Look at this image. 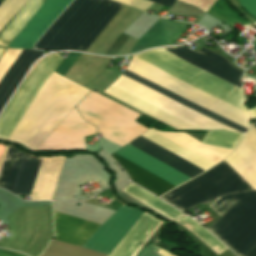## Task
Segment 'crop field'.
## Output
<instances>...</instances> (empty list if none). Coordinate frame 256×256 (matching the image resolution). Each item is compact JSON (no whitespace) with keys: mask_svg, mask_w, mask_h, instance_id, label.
Segmentation results:
<instances>
[{"mask_svg":"<svg viewBox=\"0 0 256 256\" xmlns=\"http://www.w3.org/2000/svg\"><path fill=\"white\" fill-rule=\"evenodd\" d=\"M168 51L178 55L182 59L192 63L193 65L217 76L227 80L228 82L241 87V78L243 74L228 63L224 58L204 49L199 50L206 55L195 53L191 51L187 45L168 47ZM164 48L146 51L143 54L136 55V58L145 61L160 70L248 113L243 103L242 87H236L220 78L214 77L197 67L185 62L181 58L169 53ZM135 59L132 57L126 70L135 73L231 122H234L247 129L250 122L249 113L246 114L162 71L159 69ZM128 71H124L122 75L139 82L217 122L229 126L230 128L246 132V129L231 123L213 113H210L193 103L135 75ZM120 75L119 78L112 84V86L128 92L130 95L137 97L165 112L189 122L197 126L201 130L210 129H227L229 127L220 123L212 121L181 104L139 84L124 76ZM108 87L104 93L176 128V129H198L192 125L176 119L167 113L158 110L137 98L131 97L127 93L120 90ZM199 129V130H200ZM233 131V130H231Z\"/></svg>","mask_w":256,"mask_h":256,"instance_id":"obj_1","label":"crop field"},{"mask_svg":"<svg viewBox=\"0 0 256 256\" xmlns=\"http://www.w3.org/2000/svg\"><path fill=\"white\" fill-rule=\"evenodd\" d=\"M61 61L62 58L54 53L33 68L0 117L1 138L8 140L42 85ZM88 92L53 72L9 140L33 151Z\"/></svg>","mask_w":256,"mask_h":256,"instance_id":"obj_2","label":"crop field"},{"mask_svg":"<svg viewBox=\"0 0 256 256\" xmlns=\"http://www.w3.org/2000/svg\"><path fill=\"white\" fill-rule=\"evenodd\" d=\"M150 130L213 164L225 158V156L232 151L231 149L201 143L190 137L189 135L185 134L184 132H159L154 129ZM150 130H148L141 136L177 154L181 158L199 166L204 171L213 166V164L158 136ZM141 136L134 139L128 144L134 146L135 148L141 150L142 152L185 174L190 178H193L196 175L204 172L200 168L182 160L173 153L158 147L154 143L144 139ZM142 152L127 145L116 151L115 153L141 166L142 168L150 171L151 173L157 175L158 177L166 180L167 182L175 186L189 180L188 177L176 172L175 170L169 168L168 166L160 163L159 161L149 157ZM116 154L113 153L111 157L125 169L126 173L130 176L131 181L148 190L152 194L160 196L174 188V186L167 183L166 181L145 171L141 167L124 160Z\"/></svg>","mask_w":256,"mask_h":256,"instance_id":"obj_3","label":"crop field"},{"mask_svg":"<svg viewBox=\"0 0 256 256\" xmlns=\"http://www.w3.org/2000/svg\"><path fill=\"white\" fill-rule=\"evenodd\" d=\"M254 190H256V128L252 126L237 146L224 159ZM211 170L169 191L160 199L184 211L218 196L253 190L225 161Z\"/></svg>","mask_w":256,"mask_h":256,"instance_id":"obj_4","label":"crop field"},{"mask_svg":"<svg viewBox=\"0 0 256 256\" xmlns=\"http://www.w3.org/2000/svg\"><path fill=\"white\" fill-rule=\"evenodd\" d=\"M121 6L110 0H75L55 20L35 48L85 51Z\"/></svg>","mask_w":256,"mask_h":256,"instance_id":"obj_5","label":"crop field"},{"mask_svg":"<svg viewBox=\"0 0 256 256\" xmlns=\"http://www.w3.org/2000/svg\"><path fill=\"white\" fill-rule=\"evenodd\" d=\"M6 149L7 146L0 163V171ZM15 151L16 150L11 147L7 149L0 174L1 188L4 187ZM64 158L65 157L30 158L16 151L4 188L15 195L28 196L41 159L29 197H31L30 200H51L60 176Z\"/></svg>","mask_w":256,"mask_h":256,"instance_id":"obj_6","label":"crop field"},{"mask_svg":"<svg viewBox=\"0 0 256 256\" xmlns=\"http://www.w3.org/2000/svg\"><path fill=\"white\" fill-rule=\"evenodd\" d=\"M210 207L220 218L208 230L238 256L256 246V192L228 194Z\"/></svg>","mask_w":256,"mask_h":256,"instance_id":"obj_7","label":"crop field"},{"mask_svg":"<svg viewBox=\"0 0 256 256\" xmlns=\"http://www.w3.org/2000/svg\"><path fill=\"white\" fill-rule=\"evenodd\" d=\"M76 108L102 137L120 146L148 129L134 122L140 114L93 91Z\"/></svg>","mask_w":256,"mask_h":256,"instance_id":"obj_8","label":"crop field"},{"mask_svg":"<svg viewBox=\"0 0 256 256\" xmlns=\"http://www.w3.org/2000/svg\"><path fill=\"white\" fill-rule=\"evenodd\" d=\"M95 133L74 108L34 151L85 149V136Z\"/></svg>","mask_w":256,"mask_h":256,"instance_id":"obj_9","label":"crop field"},{"mask_svg":"<svg viewBox=\"0 0 256 256\" xmlns=\"http://www.w3.org/2000/svg\"><path fill=\"white\" fill-rule=\"evenodd\" d=\"M142 212L123 205L84 244V248L111 253Z\"/></svg>","mask_w":256,"mask_h":256,"instance_id":"obj_10","label":"crop field"},{"mask_svg":"<svg viewBox=\"0 0 256 256\" xmlns=\"http://www.w3.org/2000/svg\"><path fill=\"white\" fill-rule=\"evenodd\" d=\"M22 50L7 49L0 58V81L9 70ZM43 52L35 50H23L10 70L0 82V110L11 96L30 64L41 57Z\"/></svg>","mask_w":256,"mask_h":256,"instance_id":"obj_11","label":"crop field"},{"mask_svg":"<svg viewBox=\"0 0 256 256\" xmlns=\"http://www.w3.org/2000/svg\"><path fill=\"white\" fill-rule=\"evenodd\" d=\"M71 1L47 0L8 47L32 49L45 29Z\"/></svg>","mask_w":256,"mask_h":256,"instance_id":"obj_12","label":"crop field"},{"mask_svg":"<svg viewBox=\"0 0 256 256\" xmlns=\"http://www.w3.org/2000/svg\"><path fill=\"white\" fill-rule=\"evenodd\" d=\"M54 212V240L82 247L93 232L100 226V224Z\"/></svg>","mask_w":256,"mask_h":256,"instance_id":"obj_13","label":"crop field"},{"mask_svg":"<svg viewBox=\"0 0 256 256\" xmlns=\"http://www.w3.org/2000/svg\"><path fill=\"white\" fill-rule=\"evenodd\" d=\"M187 25L158 20L134 45L129 54L156 46L174 44Z\"/></svg>","mask_w":256,"mask_h":256,"instance_id":"obj_14","label":"crop field"},{"mask_svg":"<svg viewBox=\"0 0 256 256\" xmlns=\"http://www.w3.org/2000/svg\"><path fill=\"white\" fill-rule=\"evenodd\" d=\"M158 220L147 216L145 214L137 221V223L132 227V229L127 233V235L122 239L118 246L113 250V252L108 256H131L142 241L146 238L149 232L157 224ZM161 221L154 227L147 238L139 246L132 256H135L140 248L148 241L157 227L160 225Z\"/></svg>","mask_w":256,"mask_h":256,"instance_id":"obj_15","label":"crop field"},{"mask_svg":"<svg viewBox=\"0 0 256 256\" xmlns=\"http://www.w3.org/2000/svg\"><path fill=\"white\" fill-rule=\"evenodd\" d=\"M45 0H28L0 35V46L7 47Z\"/></svg>","mask_w":256,"mask_h":256,"instance_id":"obj_16","label":"crop field"},{"mask_svg":"<svg viewBox=\"0 0 256 256\" xmlns=\"http://www.w3.org/2000/svg\"><path fill=\"white\" fill-rule=\"evenodd\" d=\"M122 191L133 196L134 198L138 199L139 201L150 206L151 208L155 209L156 211L160 212L161 214L167 216L172 220H175L183 216V214L177 211L176 209L172 208L165 202L161 201L157 197L153 196L152 194L146 192L145 190L141 189L140 187L134 184L130 183Z\"/></svg>","mask_w":256,"mask_h":256,"instance_id":"obj_17","label":"crop field"},{"mask_svg":"<svg viewBox=\"0 0 256 256\" xmlns=\"http://www.w3.org/2000/svg\"><path fill=\"white\" fill-rule=\"evenodd\" d=\"M182 226L187 228L193 234H195L198 238H200L204 243H206L212 250H214L218 255L222 253L227 248L221 244L214 236H212L207 230H205L198 223L194 222L187 216H184L178 220H176Z\"/></svg>","mask_w":256,"mask_h":256,"instance_id":"obj_18","label":"crop field"},{"mask_svg":"<svg viewBox=\"0 0 256 256\" xmlns=\"http://www.w3.org/2000/svg\"><path fill=\"white\" fill-rule=\"evenodd\" d=\"M244 134L214 130L206 133L202 142L234 149Z\"/></svg>","mask_w":256,"mask_h":256,"instance_id":"obj_19","label":"crop field"},{"mask_svg":"<svg viewBox=\"0 0 256 256\" xmlns=\"http://www.w3.org/2000/svg\"><path fill=\"white\" fill-rule=\"evenodd\" d=\"M27 0L0 1V30ZM21 9V8H20ZM13 18V17H12Z\"/></svg>","mask_w":256,"mask_h":256,"instance_id":"obj_20","label":"crop field"},{"mask_svg":"<svg viewBox=\"0 0 256 256\" xmlns=\"http://www.w3.org/2000/svg\"><path fill=\"white\" fill-rule=\"evenodd\" d=\"M80 54L69 53L67 58L63 61V63L56 70L61 74H65V72L70 68V66L75 62V60L79 57Z\"/></svg>","mask_w":256,"mask_h":256,"instance_id":"obj_21","label":"crop field"},{"mask_svg":"<svg viewBox=\"0 0 256 256\" xmlns=\"http://www.w3.org/2000/svg\"><path fill=\"white\" fill-rule=\"evenodd\" d=\"M159 250L160 249L150 245V246L144 248L143 250H141L138 256H158V255H160V256H171L170 254H168V253H166L162 250L160 252H158ZM156 252H158L157 253L158 255L155 254Z\"/></svg>","mask_w":256,"mask_h":256,"instance_id":"obj_22","label":"crop field"},{"mask_svg":"<svg viewBox=\"0 0 256 256\" xmlns=\"http://www.w3.org/2000/svg\"><path fill=\"white\" fill-rule=\"evenodd\" d=\"M241 7L245 9L246 12L256 17V0H240Z\"/></svg>","mask_w":256,"mask_h":256,"instance_id":"obj_23","label":"crop field"},{"mask_svg":"<svg viewBox=\"0 0 256 256\" xmlns=\"http://www.w3.org/2000/svg\"><path fill=\"white\" fill-rule=\"evenodd\" d=\"M181 1L194 4L206 12L208 8L214 3L215 0H181Z\"/></svg>","mask_w":256,"mask_h":256,"instance_id":"obj_24","label":"crop field"},{"mask_svg":"<svg viewBox=\"0 0 256 256\" xmlns=\"http://www.w3.org/2000/svg\"><path fill=\"white\" fill-rule=\"evenodd\" d=\"M115 1L129 5V4H130L132 1H134V0H115ZM150 1H153V2H156V3H159V4H162V5H165V6L170 7V5H171L175 0H150Z\"/></svg>","mask_w":256,"mask_h":256,"instance_id":"obj_25","label":"crop field"},{"mask_svg":"<svg viewBox=\"0 0 256 256\" xmlns=\"http://www.w3.org/2000/svg\"><path fill=\"white\" fill-rule=\"evenodd\" d=\"M0 256H25V255L7 251V250H0Z\"/></svg>","mask_w":256,"mask_h":256,"instance_id":"obj_26","label":"crop field"},{"mask_svg":"<svg viewBox=\"0 0 256 256\" xmlns=\"http://www.w3.org/2000/svg\"><path fill=\"white\" fill-rule=\"evenodd\" d=\"M250 115H251V119H255L256 118V105L253 109H248Z\"/></svg>","mask_w":256,"mask_h":256,"instance_id":"obj_27","label":"crop field"},{"mask_svg":"<svg viewBox=\"0 0 256 256\" xmlns=\"http://www.w3.org/2000/svg\"><path fill=\"white\" fill-rule=\"evenodd\" d=\"M246 256H256V247Z\"/></svg>","mask_w":256,"mask_h":256,"instance_id":"obj_28","label":"crop field"},{"mask_svg":"<svg viewBox=\"0 0 256 256\" xmlns=\"http://www.w3.org/2000/svg\"><path fill=\"white\" fill-rule=\"evenodd\" d=\"M3 50H4L3 48H0V55H1V53L3 52Z\"/></svg>","mask_w":256,"mask_h":256,"instance_id":"obj_29","label":"crop field"},{"mask_svg":"<svg viewBox=\"0 0 256 256\" xmlns=\"http://www.w3.org/2000/svg\"><path fill=\"white\" fill-rule=\"evenodd\" d=\"M253 43L256 45V39L253 41Z\"/></svg>","mask_w":256,"mask_h":256,"instance_id":"obj_30","label":"crop field"},{"mask_svg":"<svg viewBox=\"0 0 256 256\" xmlns=\"http://www.w3.org/2000/svg\"><path fill=\"white\" fill-rule=\"evenodd\" d=\"M254 123H256V121Z\"/></svg>","mask_w":256,"mask_h":256,"instance_id":"obj_31","label":"crop field"}]
</instances>
